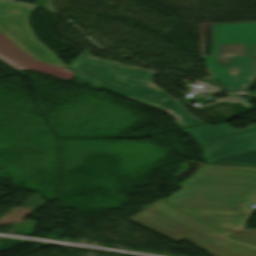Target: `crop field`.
<instances>
[{
  "mask_svg": "<svg viewBox=\"0 0 256 256\" xmlns=\"http://www.w3.org/2000/svg\"><path fill=\"white\" fill-rule=\"evenodd\" d=\"M163 201L237 240L256 245V229L244 228L255 210L225 205L232 197L256 201V168L204 165Z\"/></svg>",
  "mask_w": 256,
  "mask_h": 256,
  "instance_id": "8a807250",
  "label": "crop field"
},
{
  "mask_svg": "<svg viewBox=\"0 0 256 256\" xmlns=\"http://www.w3.org/2000/svg\"><path fill=\"white\" fill-rule=\"evenodd\" d=\"M69 67L75 71L81 82L148 103L182 118L179 124L181 127L201 123L190 117L178 103L162 92L143 91L151 84L155 73L153 71L126 68L111 61L92 58L87 51Z\"/></svg>",
  "mask_w": 256,
  "mask_h": 256,
  "instance_id": "ac0d7876",
  "label": "crop field"
},
{
  "mask_svg": "<svg viewBox=\"0 0 256 256\" xmlns=\"http://www.w3.org/2000/svg\"><path fill=\"white\" fill-rule=\"evenodd\" d=\"M128 220L177 243L185 239L211 256H256V246L232 240L161 200Z\"/></svg>",
  "mask_w": 256,
  "mask_h": 256,
  "instance_id": "34b2d1b8",
  "label": "crop field"
},
{
  "mask_svg": "<svg viewBox=\"0 0 256 256\" xmlns=\"http://www.w3.org/2000/svg\"><path fill=\"white\" fill-rule=\"evenodd\" d=\"M255 56L256 23L213 25L211 56L204 60L212 74L234 92L250 93L241 85L253 81ZM228 67L238 68V74H228Z\"/></svg>",
  "mask_w": 256,
  "mask_h": 256,
  "instance_id": "412701ff",
  "label": "crop field"
},
{
  "mask_svg": "<svg viewBox=\"0 0 256 256\" xmlns=\"http://www.w3.org/2000/svg\"><path fill=\"white\" fill-rule=\"evenodd\" d=\"M34 9L0 0V32L33 59L64 68L66 65L33 36L28 20Z\"/></svg>",
  "mask_w": 256,
  "mask_h": 256,
  "instance_id": "f4fd0767",
  "label": "crop field"
},
{
  "mask_svg": "<svg viewBox=\"0 0 256 256\" xmlns=\"http://www.w3.org/2000/svg\"><path fill=\"white\" fill-rule=\"evenodd\" d=\"M201 145L205 161L256 148V125L235 131L227 124L199 125L184 129Z\"/></svg>",
  "mask_w": 256,
  "mask_h": 256,
  "instance_id": "dd49c442",
  "label": "crop field"
},
{
  "mask_svg": "<svg viewBox=\"0 0 256 256\" xmlns=\"http://www.w3.org/2000/svg\"><path fill=\"white\" fill-rule=\"evenodd\" d=\"M0 58L10 64L11 66L18 69H31L41 71L53 76L72 79L74 77L73 72L68 70L44 64L41 62L34 61L21 49L9 41L0 33Z\"/></svg>",
  "mask_w": 256,
  "mask_h": 256,
  "instance_id": "e52e79f7",
  "label": "crop field"
},
{
  "mask_svg": "<svg viewBox=\"0 0 256 256\" xmlns=\"http://www.w3.org/2000/svg\"><path fill=\"white\" fill-rule=\"evenodd\" d=\"M208 162L256 165V149H251Z\"/></svg>",
  "mask_w": 256,
  "mask_h": 256,
  "instance_id": "d8731c3e",
  "label": "crop field"
},
{
  "mask_svg": "<svg viewBox=\"0 0 256 256\" xmlns=\"http://www.w3.org/2000/svg\"><path fill=\"white\" fill-rule=\"evenodd\" d=\"M211 101H218V102H237V103H242L243 104V107L244 108H252L248 103H247V100L244 99V98H241V97H236V96H229L227 97L226 99H212ZM217 102V103H218ZM216 104V103H214ZM208 105H212V104H208ZM204 106H207V105H203V106H200V107H196L195 109H200Z\"/></svg>",
  "mask_w": 256,
  "mask_h": 256,
  "instance_id": "5a996713",
  "label": "crop field"
}]
</instances>
